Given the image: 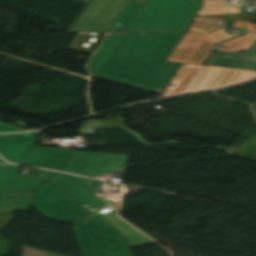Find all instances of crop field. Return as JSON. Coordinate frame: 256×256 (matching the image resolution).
I'll list each match as a JSON object with an SVG mask.
<instances>
[{
    "mask_svg": "<svg viewBox=\"0 0 256 256\" xmlns=\"http://www.w3.org/2000/svg\"><path fill=\"white\" fill-rule=\"evenodd\" d=\"M185 32L110 34L89 63L93 77L156 92L180 64L164 60Z\"/></svg>",
    "mask_w": 256,
    "mask_h": 256,
    "instance_id": "crop-field-1",
    "label": "crop field"
},
{
    "mask_svg": "<svg viewBox=\"0 0 256 256\" xmlns=\"http://www.w3.org/2000/svg\"><path fill=\"white\" fill-rule=\"evenodd\" d=\"M72 223L83 256H132L126 240L113 227L96 226L91 215Z\"/></svg>",
    "mask_w": 256,
    "mask_h": 256,
    "instance_id": "crop-field-2",
    "label": "crop field"
},
{
    "mask_svg": "<svg viewBox=\"0 0 256 256\" xmlns=\"http://www.w3.org/2000/svg\"><path fill=\"white\" fill-rule=\"evenodd\" d=\"M30 205L45 217L64 223L89 214V211L48 182L31 193Z\"/></svg>",
    "mask_w": 256,
    "mask_h": 256,
    "instance_id": "crop-field-3",
    "label": "crop field"
},
{
    "mask_svg": "<svg viewBox=\"0 0 256 256\" xmlns=\"http://www.w3.org/2000/svg\"><path fill=\"white\" fill-rule=\"evenodd\" d=\"M129 0H93L72 31L108 32Z\"/></svg>",
    "mask_w": 256,
    "mask_h": 256,
    "instance_id": "crop-field-4",
    "label": "crop field"
},
{
    "mask_svg": "<svg viewBox=\"0 0 256 256\" xmlns=\"http://www.w3.org/2000/svg\"><path fill=\"white\" fill-rule=\"evenodd\" d=\"M49 181L92 213L116 203L95 195L97 191L93 189L92 186L100 184L99 181L84 179L64 173L57 175Z\"/></svg>",
    "mask_w": 256,
    "mask_h": 256,
    "instance_id": "crop-field-5",
    "label": "crop field"
},
{
    "mask_svg": "<svg viewBox=\"0 0 256 256\" xmlns=\"http://www.w3.org/2000/svg\"><path fill=\"white\" fill-rule=\"evenodd\" d=\"M125 155L75 152L65 172L91 176L124 171Z\"/></svg>",
    "mask_w": 256,
    "mask_h": 256,
    "instance_id": "crop-field-6",
    "label": "crop field"
},
{
    "mask_svg": "<svg viewBox=\"0 0 256 256\" xmlns=\"http://www.w3.org/2000/svg\"><path fill=\"white\" fill-rule=\"evenodd\" d=\"M217 43L187 32L167 61L202 65Z\"/></svg>",
    "mask_w": 256,
    "mask_h": 256,
    "instance_id": "crop-field-7",
    "label": "crop field"
},
{
    "mask_svg": "<svg viewBox=\"0 0 256 256\" xmlns=\"http://www.w3.org/2000/svg\"><path fill=\"white\" fill-rule=\"evenodd\" d=\"M255 76L256 72L252 71L206 66L189 92L232 85L240 81L251 79Z\"/></svg>",
    "mask_w": 256,
    "mask_h": 256,
    "instance_id": "crop-field-8",
    "label": "crop field"
},
{
    "mask_svg": "<svg viewBox=\"0 0 256 256\" xmlns=\"http://www.w3.org/2000/svg\"><path fill=\"white\" fill-rule=\"evenodd\" d=\"M37 133L0 135V155L11 163L24 165L36 147Z\"/></svg>",
    "mask_w": 256,
    "mask_h": 256,
    "instance_id": "crop-field-9",
    "label": "crop field"
},
{
    "mask_svg": "<svg viewBox=\"0 0 256 256\" xmlns=\"http://www.w3.org/2000/svg\"><path fill=\"white\" fill-rule=\"evenodd\" d=\"M118 204L92 214L96 225L113 226L127 240L129 248L154 243L116 216Z\"/></svg>",
    "mask_w": 256,
    "mask_h": 256,
    "instance_id": "crop-field-10",
    "label": "crop field"
},
{
    "mask_svg": "<svg viewBox=\"0 0 256 256\" xmlns=\"http://www.w3.org/2000/svg\"><path fill=\"white\" fill-rule=\"evenodd\" d=\"M205 65L256 71V41L244 53L215 51Z\"/></svg>",
    "mask_w": 256,
    "mask_h": 256,
    "instance_id": "crop-field-11",
    "label": "crop field"
},
{
    "mask_svg": "<svg viewBox=\"0 0 256 256\" xmlns=\"http://www.w3.org/2000/svg\"><path fill=\"white\" fill-rule=\"evenodd\" d=\"M72 151L71 149L34 148L25 165L61 171Z\"/></svg>",
    "mask_w": 256,
    "mask_h": 256,
    "instance_id": "crop-field-12",
    "label": "crop field"
},
{
    "mask_svg": "<svg viewBox=\"0 0 256 256\" xmlns=\"http://www.w3.org/2000/svg\"><path fill=\"white\" fill-rule=\"evenodd\" d=\"M232 20L227 21L226 27H221L209 34H206L209 38L225 45L220 51L235 52L237 50H247L250 45L256 40L255 34L246 33L239 37L224 33L227 28L231 26Z\"/></svg>",
    "mask_w": 256,
    "mask_h": 256,
    "instance_id": "crop-field-13",
    "label": "crop field"
},
{
    "mask_svg": "<svg viewBox=\"0 0 256 256\" xmlns=\"http://www.w3.org/2000/svg\"><path fill=\"white\" fill-rule=\"evenodd\" d=\"M202 69L203 66L183 64L171 81L172 83L176 84L175 87L166 88L163 96L186 92Z\"/></svg>",
    "mask_w": 256,
    "mask_h": 256,
    "instance_id": "crop-field-14",
    "label": "crop field"
},
{
    "mask_svg": "<svg viewBox=\"0 0 256 256\" xmlns=\"http://www.w3.org/2000/svg\"><path fill=\"white\" fill-rule=\"evenodd\" d=\"M229 0H203V5L197 15L211 14H234L240 13L237 6H227ZM247 21L256 22V11H250L247 14Z\"/></svg>",
    "mask_w": 256,
    "mask_h": 256,
    "instance_id": "crop-field-15",
    "label": "crop field"
},
{
    "mask_svg": "<svg viewBox=\"0 0 256 256\" xmlns=\"http://www.w3.org/2000/svg\"><path fill=\"white\" fill-rule=\"evenodd\" d=\"M194 23L188 31H193L201 34L208 33L218 27H221L220 22H226L224 19L195 16Z\"/></svg>",
    "mask_w": 256,
    "mask_h": 256,
    "instance_id": "crop-field-16",
    "label": "crop field"
},
{
    "mask_svg": "<svg viewBox=\"0 0 256 256\" xmlns=\"http://www.w3.org/2000/svg\"><path fill=\"white\" fill-rule=\"evenodd\" d=\"M140 5L136 1L130 0L109 32H122Z\"/></svg>",
    "mask_w": 256,
    "mask_h": 256,
    "instance_id": "crop-field-17",
    "label": "crop field"
},
{
    "mask_svg": "<svg viewBox=\"0 0 256 256\" xmlns=\"http://www.w3.org/2000/svg\"><path fill=\"white\" fill-rule=\"evenodd\" d=\"M233 28H242V31L254 30L256 33V24L234 21Z\"/></svg>",
    "mask_w": 256,
    "mask_h": 256,
    "instance_id": "crop-field-18",
    "label": "crop field"
},
{
    "mask_svg": "<svg viewBox=\"0 0 256 256\" xmlns=\"http://www.w3.org/2000/svg\"><path fill=\"white\" fill-rule=\"evenodd\" d=\"M15 131H22V129L0 123V132H15Z\"/></svg>",
    "mask_w": 256,
    "mask_h": 256,
    "instance_id": "crop-field-19",
    "label": "crop field"
},
{
    "mask_svg": "<svg viewBox=\"0 0 256 256\" xmlns=\"http://www.w3.org/2000/svg\"><path fill=\"white\" fill-rule=\"evenodd\" d=\"M0 165H7L3 160L0 159Z\"/></svg>",
    "mask_w": 256,
    "mask_h": 256,
    "instance_id": "crop-field-20",
    "label": "crop field"
},
{
    "mask_svg": "<svg viewBox=\"0 0 256 256\" xmlns=\"http://www.w3.org/2000/svg\"><path fill=\"white\" fill-rule=\"evenodd\" d=\"M200 1H202V0H200Z\"/></svg>",
    "mask_w": 256,
    "mask_h": 256,
    "instance_id": "crop-field-21",
    "label": "crop field"
},
{
    "mask_svg": "<svg viewBox=\"0 0 256 256\" xmlns=\"http://www.w3.org/2000/svg\"><path fill=\"white\" fill-rule=\"evenodd\" d=\"M256 105V104H255Z\"/></svg>",
    "mask_w": 256,
    "mask_h": 256,
    "instance_id": "crop-field-22",
    "label": "crop field"
}]
</instances>
